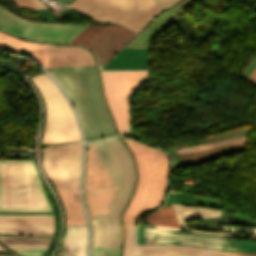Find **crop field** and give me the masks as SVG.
I'll list each match as a JSON object with an SVG mask.
<instances>
[{"label":"crop field","mask_w":256,"mask_h":256,"mask_svg":"<svg viewBox=\"0 0 256 256\" xmlns=\"http://www.w3.org/2000/svg\"><path fill=\"white\" fill-rule=\"evenodd\" d=\"M93 148L98 165L102 166L117 187L109 203V214H97L92 220L94 238L92 246L119 248L121 228L119 215L135 182L131 155L118 136L86 143Z\"/></svg>","instance_id":"8a807250"},{"label":"crop field","mask_w":256,"mask_h":256,"mask_svg":"<svg viewBox=\"0 0 256 256\" xmlns=\"http://www.w3.org/2000/svg\"><path fill=\"white\" fill-rule=\"evenodd\" d=\"M57 83L75 106L86 140L116 134L94 65L50 68Z\"/></svg>","instance_id":"ac0d7876"},{"label":"crop field","mask_w":256,"mask_h":256,"mask_svg":"<svg viewBox=\"0 0 256 256\" xmlns=\"http://www.w3.org/2000/svg\"><path fill=\"white\" fill-rule=\"evenodd\" d=\"M122 139L135 157L139 174L136 191L123 214L122 222L135 225L141 212L161 205L170 168L166 153L130 138Z\"/></svg>","instance_id":"34b2d1b8"},{"label":"crop field","mask_w":256,"mask_h":256,"mask_svg":"<svg viewBox=\"0 0 256 256\" xmlns=\"http://www.w3.org/2000/svg\"><path fill=\"white\" fill-rule=\"evenodd\" d=\"M0 210L51 211L32 159L0 160Z\"/></svg>","instance_id":"412701ff"},{"label":"crop field","mask_w":256,"mask_h":256,"mask_svg":"<svg viewBox=\"0 0 256 256\" xmlns=\"http://www.w3.org/2000/svg\"><path fill=\"white\" fill-rule=\"evenodd\" d=\"M29 79L37 87L45 105L42 144L80 142L75 116L47 75L40 74Z\"/></svg>","instance_id":"f4fd0767"},{"label":"crop field","mask_w":256,"mask_h":256,"mask_svg":"<svg viewBox=\"0 0 256 256\" xmlns=\"http://www.w3.org/2000/svg\"><path fill=\"white\" fill-rule=\"evenodd\" d=\"M70 7L103 22L139 31L160 10L155 0H74Z\"/></svg>","instance_id":"dd49c442"},{"label":"crop field","mask_w":256,"mask_h":256,"mask_svg":"<svg viewBox=\"0 0 256 256\" xmlns=\"http://www.w3.org/2000/svg\"><path fill=\"white\" fill-rule=\"evenodd\" d=\"M142 228L138 231V243L145 245H180L218 250L224 252L253 253L256 254V242L222 238L236 237L256 239V237L215 235L205 233H183L175 230Z\"/></svg>","instance_id":"e52e79f7"},{"label":"crop field","mask_w":256,"mask_h":256,"mask_svg":"<svg viewBox=\"0 0 256 256\" xmlns=\"http://www.w3.org/2000/svg\"><path fill=\"white\" fill-rule=\"evenodd\" d=\"M105 99L119 134L129 124L128 96L145 80L147 71H100Z\"/></svg>","instance_id":"d8731c3e"},{"label":"crop field","mask_w":256,"mask_h":256,"mask_svg":"<svg viewBox=\"0 0 256 256\" xmlns=\"http://www.w3.org/2000/svg\"><path fill=\"white\" fill-rule=\"evenodd\" d=\"M86 27L80 25L29 22L0 7V28L29 39L69 43Z\"/></svg>","instance_id":"5a996713"},{"label":"crop field","mask_w":256,"mask_h":256,"mask_svg":"<svg viewBox=\"0 0 256 256\" xmlns=\"http://www.w3.org/2000/svg\"><path fill=\"white\" fill-rule=\"evenodd\" d=\"M82 144L48 147L42 156V166L53 186L72 188L79 184Z\"/></svg>","instance_id":"3316defc"},{"label":"crop field","mask_w":256,"mask_h":256,"mask_svg":"<svg viewBox=\"0 0 256 256\" xmlns=\"http://www.w3.org/2000/svg\"><path fill=\"white\" fill-rule=\"evenodd\" d=\"M134 34L120 25L88 26L70 43H80L91 48L98 55L101 65Z\"/></svg>","instance_id":"28ad6ade"},{"label":"crop field","mask_w":256,"mask_h":256,"mask_svg":"<svg viewBox=\"0 0 256 256\" xmlns=\"http://www.w3.org/2000/svg\"><path fill=\"white\" fill-rule=\"evenodd\" d=\"M171 203L203 205V206H211V207L221 208L220 202L206 200V199L188 196V195H182V194H175ZM182 206L183 205H174L173 204L180 228L158 226V225H153L152 227L186 230L184 220L197 219V218L219 219L220 212H221V210L212 209V208L192 207V206L182 207ZM187 231H194V230H187ZM196 232H206V233H215V234H230V233H216V232H207V231H196ZM231 235L256 236V235H250V234H231Z\"/></svg>","instance_id":"d1516ede"},{"label":"crop field","mask_w":256,"mask_h":256,"mask_svg":"<svg viewBox=\"0 0 256 256\" xmlns=\"http://www.w3.org/2000/svg\"><path fill=\"white\" fill-rule=\"evenodd\" d=\"M137 252L138 256H256L253 254L224 253L179 246L137 245Z\"/></svg>","instance_id":"22f410ed"},{"label":"crop field","mask_w":256,"mask_h":256,"mask_svg":"<svg viewBox=\"0 0 256 256\" xmlns=\"http://www.w3.org/2000/svg\"><path fill=\"white\" fill-rule=\"evenodd\" d=\"M49 66L94 64L91 55L78 47L45 45Z\"/></svg>","instance_id":"cbeb9de0"},{"label":"crop field","mask_w":256,"mask_h":256,"mask_svg":"<svg viewBox=\"0 0 256 256\" xmlns=\"http://www.w3.org/2000/svg\"><path fill=\"white\" fill-rule=\"evenodd\" d=\"M66 234L55 256H86L88 230L86 225H65Z\"/></svg>","instance_id":"5142ce71"},{"label":"crop field","mask_w":256,"mask_h":256,"mask_svg":"<svg viewBox=\"0 0 256 256\" xmlns=\"http://www.w3.org/2000/svg\"><path fill=\"white\" fill-rule=\"evenodd\" d=\"M116 192L115 187H84V201L89 219L96 213H108V203Z\"/></svg>","instance_id":"d9b57169"},{"label":"crop field","mask_w":256,"mask_h":256,"mask_svg":"<svg viewBox=\"0 0 256 256\" xmlns=\"http://www.w3.org/2000/svg\"><path fill=\"white\" fill-rule=\"evenodd\" d=\"M0 48L11 52L30 55L48 70L43 44L19 40L0 32Z\"/></svg>","instance_id":"733c2abd"},{"label":"crop field","mask_w":256,"mask_h":256,"mask_svg":"<svg viewBox=\"0 0 256 256\" xmlns=\"http://www.w3.org/2000/svg\"><path fill=\"white\" fill-rule=\"evenodd\" d=\"M79 185L73 189L55 188L65 212V224H86L82 212L79 196Z\"/></svg>","instance_id":"4a817a6b"},{"label":"crop field","mask_w":256,"mask_h":256,"mask_svg":"<svg viewBox=\"0 0 256 256\" xmlns=\"http://www.w3.org/2000/svg\"><path fill=\"white\" fill-rule=\"evenodd\" d=\"M246 146H247V143L244 142V143L232 144V145H227V146H222V147H217V148H212V149H207L202 151L180 154L178 156L182 159V161L185 164L195 162V161H197L198 164H201L207 160L215 159L221 155L241 150Z\"/></svg>","instance_id":"bc2a9ffb"},{"label":"crop field","mask_w":256,"mask_h":256,"mask_svg":"<svg viewBox=\"0 0 256 256\" xmlns=\"http://www.w3.org/2000/svg\"><path fill=\"white\" fill-rule=\"evenodd\" d=\"M84 186H114L102 167L98 168L91 147L86 149Z\"/></svg>","instance_id":"214f88e0"},{"label":"crop field","mask_w":256,"mask_h":256,"mask_svg":"<svg viewBox=\"0 0 256 256\" xmlns=\"http://www.w3.org/2000/svg\"><path fill=\"white\" fill-rule=\"evenodd\" d=\"M51 238L0 236V242L10 249H46Z\"/></svg>","instance_id":"92a150f3"},{"label":"crop field","mask_w":256,"mask_h":256,"mask_svg":"<svg viewBox=\"0 0 256 256\" xmlns=\"http://www.w3.org/2000/svg\"><path fill=\"white\" fill-rule=\"evenodd\" d=\"M147 221L149 223L179 227L172 205L163 206L150 213L147 216Z\"/></svg>","instance_id":"dafd665d"},{"label":"crop field","mask_w":256,"mask_h":256,"mask_svg":"<svg viewBox=\"0 0 256 256\" xmlns=\"http://www.w3.org/2000/svg\"><path fill=\"white\" fill-rule=\"evenodd\" d=\"M243 141H246V136L231 138V139H227V140H222V141H217V142H213V143L202 144V145H197V146H192V147H187V148H182V149H177L176 152H177V154H180V153L191 152V151L212 148V147H216V146H221V145H226V144L236 143V142H243Z\"/></svg>","instance_id":"00972430"},{"label":"crop field","mask_w":256,"mask_h":256,"mask_svg":"<svg viewBox=\"0 0 256 256\" xmlns=\"http://www.w3.org/2000/svg\"><path fill=\"white\" fill-rule=\"evenodd\" d=\"M125 239L123 245V256H136L135 242H134V228L135 226L124 225Z\"/></svg>","instance_id":"a9b5d70f"},{"label":"crop field","mask_w":256,"mask_h":256,"mask_svg":"<svg viewBox=\"0 0 256 256\" xmlns=\"http://www.w3.org/2000/svg\"><path fill=\"white\" fill-rule=\"evenodd\" d=\"M0 233L52 236L53 230H5V229H0Z\"/></svg>","instance_id":"4177f3b9"},{"label":"crop field","mask_w":256,"mask_h":256,"mask_svg":"<svg viewBox=\"0 0 256 256\" xmlns=\"http://www.w3.org/2000/svg\"><path fill=\"white\" fill-rule=\"evenodd\" d=\"M0 228H6V229H54V225L0 224Z\"/></svg>","instance_id":"730fd06b"},{"label":"crop field","mask_w":256,"mask_h":256,"mask_svg":"<svg viewBox=\"0 0 256 256\" xmlns=\"http://www.w3.org/2000/svg\"><path fill=\"white\" fill-rule=\"evenodd\" d=\"M119 249L92 247V256H118Z\"/></svg>","instance_id":"eef30255"},{"label":"crop field","mask_w":256,"mask_h":256,"mask_svg":"<svg viewBox=\"0 0 256 256\" xmlns=\"http://www.w3.org/2000/svg\"><path fill=\"white\" fill-rule=\"evenodd\" d=\"M221 231L227 232H241V233H254L256 234V227L253 228H239L234 226H220Z\"/></svg>","instance_id":"ae1a2a85"},{"label":"crop field","mask_w":256,"mask_h":256,"mask_svg":"<svg viewBox=\"0 0 256 256\" xmlns=\"http://www.w3.org/2000/svg\"><path fill=\"white\" fill-rule=\"evenodd\" d=\"M17 2L18 6H28L33 8H44L45 6L40 0H14Z\"/></svg>","instance_id":"d3111659"},{"label":"crop field","mask_w":256,"mask_h":256,"mask_svg":"<svg viewBox=\"0 0 256 256\" xmlns=\"http://www.w3.org/2000/svg\"><path fill=\"white\" fill-rule=\"evenodd\" d=\"M22 256H44L46 250H14Z\"/></svg>","instance_id":"750c4746"},{"label":"crop field","mask_w":256,"mask_h":256,"mask_svg":"<svg viewBox=\"0 0 256 256\" xmlns=\"http://www.w3.org/2000/svg\"><path fill=\"white\" fill-rule=\"evenodd\" d=\"M156 1L158 2L162 10H164L179 0H156Z\"/></svg>","instance_id":"bd1437ed"},{"label":"crop field","mask_w":256,"mask_h":256,"mask_svg":"<svg viewBox=\"0 0 256 256\" xmlns=\"http://www.w3.org/2000/svg\"><path fill=\"white\" fill-rule=\"evenodd\" d=\"M247 80L251 81V82H255L256 80V68L254 69V71L249 75V77L247 78Z\"/></svg>","instance_id":"1d83c4d3"},{"label":"crop field","mask_w":256,"mask_h":256,"mask_svg":"<svg viewBox=\"0 0 256 256\" xmlns=\"http://www.w3.org/2000/svg\"><path fill=\"white\" fill-rule=\"evenodd\" d=\"M0 255H14L7 250H0Z\"/></svg>","instance_id":"120bbe31"},{"label":"crop field","mask_w":256,"mask_h":256,"mask_svg":"<svg viewBox=\"0 0 256 256\" xmlns=\"http://www.w3.org/2000/svg\"><path fill=\"white\" fill-rule=\"evenodd\" d=\"M57 1H59L60 3L66 5V4H68L72 0H57Z\"/></svg>","instance_id":"d32e631a"},{"label":"crop field","mask_w":256,"mask_h":256,"mask_svg":"<svg viewBox=\"0 0 256 256\" xmlns=\"http://www.w3.org/2000/svg\"><path fill=\"white\" fill-rule=\"evenodd\" d=\"M8 216H45V215H8Z\"/></svg>","instance_id":"5866460e"},{"label":"crop field","mask_w":256,"mask_h":256,"mask_svg":"<svg viewBox=\"0 0 256 256\" xmlns=\"http://www.w3.org/2000/svg\"><path fill=\"white\" fill-rule=\"evenodd\" d=\"M0 249H5V248H3V247L0 245Z\"/></svg>","instance_id":"028f5c9d"},{"label":"crop field","mask_w":256,"mask_h":256,"mask_svg":"<svg viewBox=\"0 0 256 256\" xmlns=\"http://www.w3.org/2000/svg\"><path fill=\"white\" fill-rule=\"evenodd\" d=\"M254 84H256V82Z\"/></svg>","instance_id":"e1f06a70"}]
</instances>
